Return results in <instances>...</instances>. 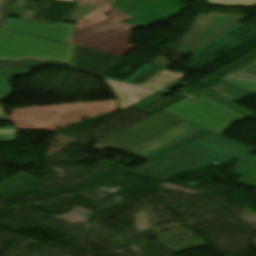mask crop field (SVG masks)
I'll return each instance as SVG.
<instances>
[{"label":"crop field","mask_w":256,"mask_h":256,"mask_svg":"<svg viewBox=\"0 0 256 256\" xmlns=\"http://www.w3.org/2000/svg\"><path fill=\"white\" fill-rule=\"evenodd\" d=\"M182 123L184 121L160 111L93 147L101 151L110 147L128 152Z\"/></svg>","instance_id":"obj_4"},{"label":"crop field","mask_w":256,"mask_h":256,"mask_svg":"<svg viewBox=\"0 0 256 256\" xmlns=\"http://www.w3.org/2000/svg\"><path fill=\"white\" fill-rule=\"evenodd\" d=\"M75 25L63 23L40 24L8 18L3 28L66 43Z\"/></svg>","instance_id":"obj_8"},{"label":"crop field","mask_w":256,"mask_h":256,"mask_svg":"<svg viewBox=\"0 0 256 256\" xmlns=\"http://www.w3.org/2000/svg\"><path fill=\"white\" fill-rule=\"evenodd\" d=\"M30 73L29 69L0 70V101L7 99L12 93L9 79L15 75Z\"/></svg>","instance_id":"obj_16"},{"label":"crop field","mask_w":256,"mask_h":256,"mask_svg":"<svg viewBox=\"0 0 256 256\" xmlns=\"http://www.w3.org/2000/svg\"><path fill=\"white\" fill-rule=\"evenodd\" d=\"M0 115H5V113H4V111H3L2 107H1V105H0Z\"/></svg>","instance_id":"obj_27"},{"label":"crop field","mask_w":256,"mask_h":256,"mask_svg":"<svg viewBox=\"0 0 256 256\" xmlns=\"http://www.w3.org/2000/svg\"><path fill=\"white\" fill-rule=\"evenodd\" d=\"M252 152L254 151L249 148L214 134L142 173L165 178L203 167L213 161L221 162L240 158Z\"/></svg>","instance_id":"obj_1"},{"label":"crop field","mask_w":256,"mask_h":256,"mask_svg":"<svg viewBox=\"0 0 256 256\" xmlns=\"http://www.w3.org/2000/svg\"><path fill=\"white\" fill-rule=\"evenodd\" d=\"M162 67H156V66H152L151 68H149L147 71H145L143 74H141L139 77H137L133 82H131L132 84H140L141 82H143L144 80H146L147 78H149L150 76H152L153 74H155L156 72H158L159 70H161ZM163 70V69H162Z\"/></svg>","instance_id":"obj_22"},{"label":"crop field","mask_w":256,"mask_h":256,"mask_svg":"<svg viewBox=\"0 0 256 256\" xmlns=\"http://www.w3.org/2000/svg\"><path fill=\"white\" fill-rule=\"evenodd\" d=\"M199 93L208 97V98H210V99H212V100H214V101H216V102H218V103H220V104H222V105H224V106H226V107H228V108H230V109H232V110H234V111H236V112H238V113H240V114H242V115H244V116H246L249 119L254 118V115H252V114H250V113H248V112H246V111H244V110H242V109H240V108H238V107H236V106H234V105H232V104H230V103H228V102H226V101H224V100H222V99H220V98H218V97H216V96H214V95H212L208 92H206L205 90H203Z\"/></svg>","instance_id":"obj_19"},{"label":"crop field","mask_w":256,"mask_h":256,"mask_svg":"<svg viewBox=\"0 0 256 256\" xmlns=\"http://www.w3.org/2000/svg\"><path fill=\"white\" fill-rule=\"evenodd\" d=\"M213 133L201 128L193 133H191L190 135L180 139L179 141L167 146L166 151H164V149L156 152L155 154L145 158L147 159L148 163L135 169L136 171L140 172L160 161H162L163 159L187 148L188 146L208 137L209 135H211Z\"/></svg>","instance_id":"obj_11"},{"label":"crop field","mask_w":256,"mask_h":256,"mask_svg":"<svg viewBox=\"0 0 256 256\" xmlns=\"http://www.w3.org/2000/svg\"><path fill=\"white\" fill-rule=\"evenodd\" d=\"M16 139V131L0 132V142H14Z\"/></svg>","instance_id":"obj_23"},{"label":"crop field","mask_w":256,"mask_h":256,"mask_svg":"<svg viewBox=\"0 0 256 256\" xmlns=\"http://www.w3.org/2000/svg\"><path fill=\"white\" fill-rule=\"evenodd\" d=\"M12 1L13 0H0V27L13 8L11 4Z\"/></svg>","instance_id":"obj_21"},{"label":"crop field","mask_w":256,"mask_h":256,"mask_svg":"<svg viewBox=\"0 0 256 256\" xmlns=\"http://www.w3.org/2000/svg\"><path fill=\"white\" fill-rule=\"evenodd\" d=\"M119 57L76 47L74 67L99 74Z\"/></svg>","instance_id":"obj_10"},{"label":"crop field","mask_w":256,"mask_h":256,"mask_svg":"<svg viewBox=\"0 0 256 256\" xmlns=\"http://www.w3.org/2000/svg\"><path fill=\"white\" fill-rule=\"evenodd\" d=\"M165 111L219 134L226 130L234 121L244 118V116L203 96L193 103L183 99L165 109Z\"/></svg>","instance_id":"obj_6"},{"label":"crop field","mask_w":256,"mask_h":256,"mask_svg":"<svg viewBox=\"0 0 256 256\" xmlns=\"http://www.w3.org/2000/svg\"><path fill=\"white\" fill-rule=\"evenodd\" d=\"M107 81V80H106ZM113 89L118 101L119 109L124 110L139 101L156 93V91L136 88L131 85L107 81Z\"/></svg>","instance_id":"obj_12"},{"label":"crop field","mask_w":256,"mask_h":256,"mask_svg":"<svg viewBox=\"0 0 256 256\" xmlns=\"http://www.w3.org/2000/svg\"><path fill=\"white\" fill-rule=\"evenodd\" d=\"M209 4L253 7L256 0H208Z\"/></svg>","instance_id":"obj_20"},{"label":"crop field","mask_w":256,"mask_h":256,"mask_svg":"<svg viewBox=\"0 0 256 256\" xmlns=\"http://www.w3.org/2000/svg\"><path fill=\"white\" fill-rule=\"evenodd\" d=\"M186 75L187 74H183V73H179L176 71L166 69L163 72L156 75L155 77L148 80L147 82L143 83L142 86L161 89V88L183 78Z\"/></svg>","instance_id":"obj_15"},{"label":"crop field","mask_w":256,"mask_h":256,"mask_svg":"<svg viewBox=\"0 0 256 256\" xmlns=\"http://www.w3.org/2000/svg\"><path fill=\"white\" fill-rule=\"evenodd\" d=\"M231 102H234L252 92L241 88L235 84H232L224 79L217 81L216 83L205 88Z\"/></svg>","instance_id":"obj_14"},{"label":"crop field","mask_w":256,"mask_h":256,"mask_svg":"<svg viewBox=\"0 0 256 256\" xmlns=\"http://www.w3.org/2000/svg\"><path fill=\"white\" fill-rule=\"evenodd\" d=\"M112 7L132 18L120 23L141 27L175 16L185 8L177 0H114Z\"/></svg>","instance_id":"obj_7"},{"label":"crop field","mask_w":256,"mask_h":256,"mask_svg":"<svg viewBox=\"0 0 256 256\" xmlns=\"http://www.w3.org/2000/svg\"><path fill=\"white\" fill-rule=\"evenodd\" d=\"M9 120L8 116H0V121Z\"/></svg>","instance_id":"obj_25"},{"label":"crop field","mask_w":256,"mask_h":256,"mask_svg":"<svg viewBox=\"0 0 256 256\" xmlns=\"http://www.w3.org/2000/svg\"><path fill=\"white\" fill-rule=\"evenodd\" d=\"M236 174L241 175L237 183L256 187V156L240 158L235 164Z\"/></svg>","instance_id":"obj_13"},{"label":"crop field","mask_w":256,"mask_h":256,"mask_svg":"<svg viewBox=\"0 0 256 256\" xmlns=\"http://www.w3.org/2000/svg\"><path fill=\"white\" fill-rule=\"evenodd\" d=\"M58 1H72V0H55V2H58Z\"/></svg>","instance_id":"obj_28"},{"label":"crop field","mask_w":256,"mask_h":256,"mask_svg":"<svg viewBox=\"0 0 256 256\" xmlns=\"http://www.w3.org/2000/svg\"><path fill=\"white\" fill-rule=\"evenodd\" d=\"M45 63V61H40L36 59H23L15 61L0 60V69L43 67Z\"/></svg>","instance_id":"obj_18"},{"label":"crop field","mask_w":256,"mask_h":256,"mask_svg":"<svg viewBox=\"0 0 256 256\" xmlns=\"http://www.w3.org/2000/svg\"><path fill=\"white\" fill-rule=\"evenodd\" d=\"M107 17L112 21L78 30L75 45L136 27L117 23L130 18L112 7ZM130 38L131 34L129 31L77 46L122 56L133 48V46L129 44Z\"/></svg>","instance_id":"obj_3"},{"label":"crop field","mask_w":256,"mask_h":256,"mask_svg":"<svg viewBox=\"0 0 256 256\" xmlns=\"http://www.w3.org/2000/svg\"><path fill=\"white\" fill-rule=\"evenodd\" d=\"M251 64H254V65H256V61L252 62Z\"/></svg>","instance_id":"obj_29"},{"label":"crop field","mask_w":256,"mask_h":256,"mask_svg":"<svg viewBox=\"0 0 256 256\" xmlns=\"http://www.w3.org/2000/svg\"><path fill=\"white\" fill-rule=\"evenodd\" d=\"M224 79L256 93V75L236 72Z\"/></svg>","instance_id":"obj_17"},{"label":"crop field","mask_w":256,"mask_h":256,"mask_svg":"<svg viewBox=\"0 0 256 256\" xmlns=\"http://www.w3.org/2000/svg\"><path fill=\"white\" fill-rule=\"evenodd\" d=\"M239 71L256 74V66L250 64Z\"/></svg>","instance_id":"obj_24"},{"label":"crop field","mask_w":256,"mask_h":256,"mask_svg":"<svg viewBox=\"0 0 256 256\" xmlns=\"http://www.w3.org/2000/svg\"><path fill=\"white\" fill-rule=\"evenodd\" d=\"M246 17L248 16L231 13H210L209 16L198 14L190 32L184 35L177 52L163 53L151 64L166 67L171 62L160 59L164 54L179 53L186 56Z\"/></svg>","instance_id":"obj_5"},{"label":"crop field","mask_w":256,"mask_h":256,"mask_svg":"<svg viewBox=\"0 0 256 256\" xmlns=\"http://www.w3.org/2000/svg\"><path fill=\"white\" fill-rule=\"evenodd\" d=\"M197 129L199 127L186 122L129 153L145 158Z\"/></svg>","instance_id":"obj_9"},{"label":"crop field","mask_w":256,"mask_h":256,"mask_svg":"<svg viewBox=\"0 0 256 256\" xmlns=\"http://www.w3.org/2000/svg\"><path fill=\"white\" fill-rule=\"evenodd\" d=\"M4 129H15L14 126H10V127H0V130H4Z\"/></svg>","instance_id":"obj_26"},{"label":"crop field","mask_w":256,"mask_h":256,"mask_svg":"<svg viewBox=\"0 0 256 256\" xmlns=\"http://www.w3.org/2000/svg\"><path fill=\"white\" fill-rule=\"evenodd\" d=\"M73 46L3 30L0 58L38 57L71 65Z\"/></svg>","instance_id":"obj_2"}]
</instances>
